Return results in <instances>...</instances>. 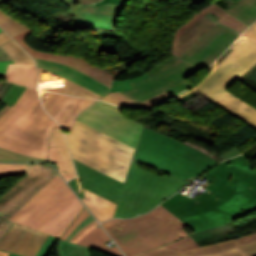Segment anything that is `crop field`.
Wrapping results in <instances>:
<instances>
[{"instance_id": "crop-field-29", "label": "crop field", "mask_w": 256, "mask_h": 256, "mask_svg": "<svg viewBox=\"0 0 256 256\" xmlns=\"http://www.w3.org/2000/svg\"><path fill=\"white\" fill-rule=\"evenodd\" d=\"M7 0H2L5 2ZM0 27L14 36L22 31L29 29L26 25L9 18L6 14L0 11Z\"/></svg>"}, {"instance_id": "crop-field-32", "label": "crop field", "mask_w": 256, "mask_h": 256, "mask_svg": "<svg viewBox=\"0 0 256 256\" xmlns=\"http://www.w3.org/2000/svg\"><path fill=\"white\" fill-rule=\"evenodd\" d=\"M126 1L127 0H120L118 6L107 4V5L96 7L97 13L113 14L112 22H111V27H112L113 31L115 29L117 18L119 16L122 8L124 7Z\"/></svg>"}, {"instance_id": "crop-field-18", "label": "crop field", "mask_w": 256, "mask_h": 256, "mask_svg": "<svg viewBox=\"0 0 256 256\" xmlns=\"http://www.w3.org/2000/svg\"><path fill=\"white\" fill-rule=\"evenodd\" d=\"M142 254L145 256H244L235 240L183 253L159 247Z\"/></svg>"}, {"instance_id": "crop-field-12", "label": "crop field", "mask_w": 256, "mask_h": 256, "mask_svg": "<svg viewBox=\"0 0 256 256\" xmlns=\"http://www.w3.org/2000/svg\"><path fill=\"white\" fill-rule=\"evenodd\" d=\"M239 35L219 24L206 33L183 59L208 68Z\"/></svg>"}, {"instance_id": "crop-field-25", "label": "crop field", "mask_w": 256, "mask_h": 256, "mask_svg": "<svg viewBox=\"0 0 256 256\" xmlns=\"http://www.w3.org/2000/svg\"><path fill=\"white\" fill-rule=\"evenodd\" d=\"M226 11L250 25L256 20V0H238Z\"/></svg>"}, {"instance_id": "crop-field-36", "label": "crop field", "mask_w": 256, "mask_h": 256, "mask_svg": "<svg viewBox=\"0 0 256 256\" xmlns=\"http://www.w3.org/2000/svg\"><path fill=\"white\" fill-rule=\"evenodd\" d=\"M26 164H0V177L25 172Z\"/></svg>"}, {"instance_id": "crop-field-39", "label": "crop field", "mask_w": 256, "mask_h": 256, "mask_svg": "<svg viewBox=\"0 0 256 256\" xmlns=\"http://www.w3.org/2000/svg\"><path fill=\"white\" fill-rule=\"evenodd\" d=\"M75 124H77V125H79V126H81V127H83V128H85V129H87V130H89V131H91V132H93V133H95V134H97V135H99V136H101V137H103V138H105V139H107V140H109V141H111V142H113V143H115V144H117V145H119V146H121V147H123V148H125V149L134 153V149L120 143L119 141H117V140H115V139H113V138H111V137H109V136H107V135H105V134H103V133H101V132L83 124V123H81V122H79V121H76Z\"/></svg>"}, {"instance_id": "crop-field-14", "label": "crop field", "mask_w": 256, "mask_h": 256, "mask_svg": "<svg viewBox=\"0 0 256 256\" xmlns=\"http://www.w3.org/2000/svg\"><path fill=\"white\" fill-rule=\"evenodd\" d=\"M43 106L62 129L70 130L79 112L96 100L70 97L39 90ZM79 115V114H78Z\"/></svg>"}, {"instance_id": "crop-field-21", "label": "crop field", "mask_w": 256, "mask_h": 256, "mask_svg": "<svg viewBox=\"0 0 256 256\" xmlns=\"http://www.w3.org/2000/svg\"><path fill=\"white\" fill-rule=\"evenodd\" d=\"M111 240L101 227L93 228L87 235L78 241L77 244L99 249L113 256H123L116 246L107 247L104 242ZM115 245V244H114Z\"/></svg>"}, {"instance_id": "crop-field-52", "label": "crop field", "mask_w": 256, "mask_h": 256, "mask_svg": "<svg viewBox=\"0 0 256 256\" xmlns=\"http://www.w3.org/2000/svg\"><path fill=\"white\" fill-rule=\"evenodd\" d=\"M119 0H102L101 2L95 3V6L112 3V4H118Z\"/></svg>"}, {"instance_id": "crop-field-54", "label": "crop field", "mask_w": 256, "mask_h": 256, "mask_svg": "<svg viewBox=\"0 0 256 256\" xmlns=\"http://www.w3.org/2000/svg\"><path fill=\"white\" fill-rule=\"evenodd\" d=\"M77 4H82V3H89V2H98L101 0H75Z\"/></svg>"}, {"instance_id": "crop-field-38", "label": "crop field", "mask_w": 256, "mask_h": 256, "mask_svg": "<svg viewBox=\"0 0 256 256\" xmlns=\"http://www.w3.org/2000/svg\"><path fill=\"white\" fill-rule=\"evenodd\" d=\"M89 215L90 214L87 212L86 208L83 207V209L79 212V214L72 221V223L69 225V227L66 229V231L62 234L60 238L65 240L66 237L77 227V225Z\"/></svg>"}, {"instance_id": "crop-field-17", "label": "crop field", "mask_w": 256, "mask_h": 256, "mask_svg": "<svg viewBox=\"0 0 256 256\" xmlns=\"http://www.w3.org/2000/svg\"><path fill=\"white\" fill-rule=\"evenodd\" d=\"M39 70V88L63 93L72 96L87 97V98H100L98 95L68 79L51 73L38 66Z\"/></svg>"}, {"instance_id": "crop-field-49", "label": "crop field", "mask_w": 256, "mask_h": 256, "mask_svg": "<svg viewBox=\"0 0 256 256\" xmlns=\"http://www.w3.org/2000/svg\"><path fill=\"white\" fill-rule=\"evenodd\" d=\"M0 31H2V30L0 29ZM9 64H14V62L13 61L0 62V77H4L5 78V75H6V72H7Z\"/></svg>"}, {"instance_id": "crop-field-48", "label": "crop field", "mask_w": 256, "mask_h": 256, "mask_svg": "<svg viewBox=\"0 0 256 256\" xmlns=\"http://www.w3.org/2000/svg\"><path fill=\"white\" fill-rule=\"evenodd\" d=\"M244 35L256 41V22L249 27Z\"/></svg>"}, {"instance_id": "crop-field-19", "label": "crop field", "mask_w": 256, "mask_h": 256, "mask_svg": "<svg viewBox=\"0 0 256 256\" xmlns=\"http://www.w3.org/2000/svg\"><path fill=\"white\" fill-rule=\"evenodd\" d=\"M213 104L256 129V108L233 93L226 91Z\"/></svg>"}, {"instance_id": "crop-field-44", "label": "crop field", "mask_w": 256, "mask_h": 256, "mask_svg": "<svg viewBox=\"0 0 256 256\" xmlns=\"http://www.w3.org/2000/svg\"><path fill=\"white\" fill-rule=\"evenodd\" d=\"M99 225L96 220L86 225L80 232H78L74 237L70 239L71 242L77 243V241L83 237L86 233H88L93 227Z\"/></svg>"}, {"instance_id": "crop-field-22", "label": "crop field", "mask_w": 256, "mask_h": 256, "mask_svg": "<svg viewBox=\"0 0 256 256\" xmlns=\"http://www.w3.org/2000/svg\"><path fill=\"white\" fill-rule=\"evenodd\" d=\"M5 80L37 88L36 66L10 65Z\"/></svg>"}, {"instance_id": "crop-field-1", "label": "crop field", "mask_w": 256, "mask_h": 256, "mask_svg": "<svg viewBox=\"0 0 256 256\" xmlns=\"http://www.w3.org/2000/svg\"><path fill=\"white\" fill-rule=\"evenodd\" d=\"M216 164L204 153L144 127L121 195L80 174L68 183L80 198L84 187L118 203L115 217L129 218L147 212Z\"/></svg>"}, {"instance_id": "crop-field-3", "label": "crop field", "mask_w": 256, "mask_h": 256, "mask_svg": "<svg viewBox=\"0 0 256 256\" xmlns=\"http://www.w3.org/2000/svg\"><path fill=\"white\" fill-rule=\"evenodd\" d=\"M37 96V89L27 87L10 110L0 118V146L10 151L49 159V131L52 126L60 127L42 109Z\"/></svg>"}, {"instance_id": "crop-field-20", "label": "crop field", "mask_w": 256, "mask_h": 256, "mask_svg": "<svg viewBox=\"0 0 256 256\" xmlns=\"http://www.w3.org/2000/svg\"><path fill=\"white\" fill-rule=\"evenodd\" d=\"M83 190L85 198H83L82 200L91 209V211L95 214L98 220L103 221L109 218H113L115 216L118 204L108 199H105L95 193H92L84 188Z\"/></svg>"}, {"instance_id": "crop-field-11", "label": "crop field", "mask_w": 256, "mask_h": 256, "mask_svg": "<svg viewBox=\"0 0 256 256\" xmlns=\"http://www.w3.org/2000/svg\"><path fill=\"white\" fill-rule=\"evenodd\" d=\"M209 12L220 17L217 22L241 33L249 26L237 17L229 14L212 3L196 13L176 30L172 54L182 58L206 32L219 24L207 17H204Z\"/></svg>"}, {"instance_id": "crop-field-35", "label": "crop field", "mask_w": 256, "mask_h": 256, "mask_svg": "<svg viewBox=\"0 0 256 256\" xmlns=\"http://www.w3.org/2000/svg\"><path fill=\"white\" fill-rule=\"evenodd\" d=\"M162 247H166L172 250H176L179 252L194 249L200 247L197 245L194 240L189 236L187 238L172 242L170 244L164 245Z\"/></svg>"}, {"instance_id": "crop-field-6", "label": "crop field", "mask_w": 256, "mask_h": 256, "mask_svg": "<svg viewBox=\"0 0 256 256\" xmlns=\"http://www.w3.org/2000/svg\"><path fill=\"white\" fill-rule=\"evenodd\" d=\"M230 49L233 51L191 89L211 103L256 66L254 42L241 35Z\"/></svg>"}, {"instance_id": "crop-field-46", "label": "crop field", "mask_w": 256, "mask_h": 256, "mask_svg": "<svg viewBox=\"0 0 256 256\" xmlns=\"http://www.w3.org/2000/svg\"><path fill=\"white\" fill-rule=\"evenodd\" d=\"M95 220L91 215L86 218L83 222H81L78 227L68 236V238L66 239L67 241H69V239L75 235L79 230H81L86 224L90 223L91 221Z\"/></svg>"}, {"instance_id": "crop-field-26", "label": "crop field", "mask_w": 256, "mask_h": 256, "mask_svg": "<svg viewBox=\"0 0 256 256\" xmlns=\"http://www.w3.org/2000/svg\"><path fill=\"white\" fill-rule=\"evenodd\" d=\"M1 47L9 54V56L15 61L16 64L35 65L31 56H29L13 40L1 45Z\"/></svg>"}, {"instance_id": "crop-field-30", "label": "crop field", "mask_w": 256, "mask_h": 256, "mask_svg": "<svg viewBox=\"0 0 256 256\" xmlns=\"http://www.w3.org/2000/svg\"><path fill=\"white\" fill-rule=\"evenodd\" d=\"M245 256H256V234L236 239Z\"/></svg>"}, {"instance_id": "crop-field-47", "label": "crop field", "mask_w": 256, "mask_h": 256, "mask_svg": "<svg viewBox=\"0 0 256 256\" xmlns=\"http://www.w3.org/2000/svg\"><path fill=\"white\" fill-rule=\"evenodd\" d=\"M238 154H240L239 150H238L237 147H235V148H233V149H231V150H229V151H227V152H225V153H223V154H221L217 157H219L222 160H225V159L231 158L233 156H236Z\"/></svg>"}, {"instance_id": "crop-field-53", "label": "crop field", "mask_w": 256, "mask_h": 256, "mask_svg": "<svg viewBox=\"0 0 256 256\" xmlns=\"http://www.w3.org/2000/svg\"><path fill=\"white\" fill-rule=\"evenodd\" d=\"M117 220H119V219H112V220L103 222V223H101V224H102V225L104 226V228L106 229L108 226L112 225V224L115 223Z\"/></svg>"}, {"instance_id": "crop-field-15", "label": "crop field", "mask_w": 256, "mask_h": 256, "mask_svg": "<svg viewBox=\"0 0 256 256\" xmlns=\"http://www.w3.org/2000/svg\"><path fill=\"white\" fill-rule=\"evenodd\" d=\"M30 32H31V30L29 29V30L22 32L13 37L29 54H31L34 57L49 59V60H53V61L71 65V66L93 76L94 78H96L100 82L104 83L108 87L111 86L114 77L110 73L104 71L103 69H101L99 67L90 65L88 62L84 61L83 59H81L78 56L44 53V52L37 51V50L33 49L32 47H30L29 45H27L24 42L26 35L29 34Z\"/></svg>"}, {"instance_id": "crop-field-34", "label": "crop field", "mask_w": 256, "mask_h": 256, "mask_svg": "<svg viewBox=\"0 0 256 256\" xmlns=\"http://www.w3.org/2000/svg\"><path fill=\"white\" fill-rule=\"evenodd\" d=\"M90 22V24L110 29V22L112 15H102V14H96V13H86L81 12Z\"/></svg>"}, {"instance_id": "crop-field-50", "label": "crop field", "mask_w": 256, "mask_h": 256, "mask_svg": "<svg viewBox=\"0 0 256 256\" xmlns=\"http://www.w3.org/2000/svg\"><path fill=\"white\" fill-rule=\"evenodd\" d=\"M10 40H12V38L8 36L4 31L0 33V44H3Z\"/></svg>"}, {"instance_id": "crop-field-51", "label": "crop field", "mask_w": 256, "mask_h": 256, "mask_svg": "<svg viewBox=\"0 0 256 256\" xmlns=\"http://www.w3.org/2000/svg\"><path fill=\"white\" fill-rule=\"evenodd\" d=\"M3 60H12L9 56H7L6 52L0 47V61Z\"/></svg>"}, {"instance_id": "crop-field-42", "label": "crop field", "mask_w": 256, "mask_h": 256, "mask_svg": "<svg viewBox=\"0 0 256 256\" xmlns=\"http://www.w3.org/2000/svg\"><path fill=\"white\" fill-rule=\"evenodd\" d=\"M145 78H148V76L144 75V76L138 77L136 79L126 80V81H114V83L112 84L111 92L132 89L129 82L141 80V79H145Z\"/></svg>"}, {"instance_id": "crop-field-40", "label": "crop field", "mask_w": 256, "mask_h": 256, "mask_svg": "<svg viewBox=\"0 0 256 256\" xmlns=\"http://www.w3.org/2000/svg\"><path fill=\"white\" fill-rule=\"evenodd\" d=\"M56 152L57 151L55 148L49 149L50 159L52 162H54L57 165V167L59 168L58 171L62 175V177L65 179V181H69L71 178L74 177V175L63 172L58 154Z\"/></svg>"}, {"instance_id": "crop-field-2", "label": "crop field", "mask_w": 256, "mask_h": 256, "mask_svg": "<svg viewBox=\"0 0 256 256\" xmlns=\"http://www.w3.org/2000/svg\"><path fill=\"white\" fill-rule=\"evenodd\" d=\"M249 162L242 155L228 159L203 175L213 183L199 197L178 193L161 205L194 232L237 219L256 209V168Z\"/></svg>"}, {"instance_id": "crop-field-24", "label": "crop field", "mask_w": 256, "mask_h": 256, "mask_svg": "<svg viewBox=\"0 0 256 256\" xmlns=\"http://www.w3.org/2000/svg\"><path fill=\"white\" fill-rule=\"evenodd\" d=\"M74 161V164H75V167H76V171L118 193H121V190L123 188V183L105 175V174H102L101 172L99 171H96L86 165H83L75 160Z\"/></svg>"}, {"instance_id": "crop-field-33", "label": "crop field", "mask_w": 256, "mask_h": 256, "mask_svg": "<svg viewBox=\"0 0 256 256\" xmlns=\"http://www.w3.org/2000/svg\"><path fill=\"white\" fill-rule=\"evenodd\" d=\"M71 154H72V157L74 159H76V160H78V161H80V162H82V163H84V164H86V165H88V166H90L94 169H97L101 172H105L106 174H108V175H110V176H112V177H114V178H116V179H118L122 182H125V179H126L125 177H123V176H121V175H119V174H117V173H115V172H113V171H111V170H109V169H107V168H105V167H103V166H101V165H99V164H97V163H95V162L77 154V153H74V152L71 151Z\"/></svg>"}, {"instance_id": "crop-field-41", "label": "crop field", "mask_w": 256, "mask_h": 256, "mask_svg": "<svg viewBox=\"0 0 256 256\" xmlns=\"http://www.w3.org/2000/svg\"><path fill=\"white\" fill-rule=\"evenodd\" d=\"M173 96H171L169 93H167L166 91L154 96V97H151L143 102H141L143 105H145L146 107L150 108L166 99H169Z\"/></svg>"}, {"instance_id": "crop-field-45", "label": "crop field", "mask_w": 256, "mask_h": 256, "mask_svg": "<svg viewBox=\"0 0 256 256\" xmlns=\"http://www.w3.org/2000/svg\"><path fill=\"white\" fill-rule=\"evenodd\" d=\"M63 2H65L67 5H69L70 7H72L73 9L69 12V14L87 22L88 20L77 10V8L75 7V3L73 0H62Z\"/></svg>"}, {"instance_id": "crop-field-23", "label": "crop field", "mask_w": 256, "mask_h": 256, "mask_svg": "<svg viewBox=\"0 0 256 256\" xmlns=\"http://www.w3.org/2000/svg\"><path fill=\"white\" fill-rule=\"evenodd\" d=\"M52 147H56L58 151L63 170L76 175L64 134L62 130L54 127L52 128L49 137V148Z\"/></svg>"}, {"instance_id": "crop-field-31", "label": "crop field", "mask_w": 256, "mask_h": 256, "mask_svg": "<svg viewBox=\"0 0 256 256\" xmlns=\"http://www.w3.org/2000/svg\"><path fill=\"white\" fill-rule=\"evenodd\" d=\"M0 161L3 162H25V161H50L46 159H38L18 153L7 151L0 147Z\"/></svg>"}, {"instance_id": "crop-field-43", "label": "crop field", "mask_w": 256, "mask_h": 256, "mask_svg": "<svg viewBox=\"0 0 256 256\" xmlns=\"http://www.w3.org/2000/svg\"><path fill=\"white\" fill-rule=\"evenodd\" d=\"M58 239L59 238H56L50 235V237L48 238L44 246L41 248L37 256H47ZM9 256H16V255L9 254Z\"/></svg>"}, {"instance_id": "crop-field-5", "label": "crop field", "mask_w": 256, "mask_h": 256, "mask_svg": "<svg viewBox=\"0 0 256 256\" xmlns=\"http://www.w3.org/2000/svg\"><path fill=\"white\" fill-rule=\"evenodd\" d=\"M184 227L185 224L159 205L134 219H121L106 230L126 256H131L188 235Z\"/></svg>"}, {"instance_id": "crop-field-56", "label": "crop field", "mask_w": 256, "mask_h": 256, "mask_svg": "<svg viewBox=\"0 0 256 256\" xmlns=\"http://www.w3.org/2000/svg\"><path fill=\"white\" fill-rule=\"evenodd\" d=\"M207 16H209V17L215 19L216 21H217V19H218V17H216V16H214V15H212V14H210V13H209Z\"/></svg>"}, {"instance_id": "crop-field-16", "label": "crop field", "mask_w": 256, "mask_h": 256, "mask_svg": "<svg viewBox=\"0 0 256 256\" xmlns=\"http://www.w3.org/2000/svg\"><path fill=\"white\" fill-rule=\"evenodd\" d=\"M36 64L65 78H68L96 93L104 95L109 89L104 84L100 83L93 77L65 64L34 58Z\"/></svg>"}, {"instance_id": "crop-field-27", "label": "crop field", "mask_w": 256, "mask_h": 256, "mask_svg": "<svg viewBox=\"0 0 256 256\" xmlns=\"http://www.w3.org/2000/svg\"><path fill=\"white\" fill-rule=\"evenodd\" d=\"M58 256H91L90 248L60 240Z\"/></svg>"}, {"instance_id": "crop-field-4", "label": "crop field", "mask_w": 256, "mask_h": 256, "mask_svg": "<svg viewBox=\"0 0 256 256\" xmlns=\"http://www.w3.org/2000/svg\"><path fill=\"white\" fill-rule=\"evenodd\" d=\"M82 207L81 202L58 175L11 220L60 237Z\"/></svg>"}, {"instance_id": "crop-field-9", "label": "crop field", "mask_w": 256, "mask_h": 256, "mask_svg": "<svg viewBox=\"0 0 256 256\" xmlns=\"http://www.w3.org/2000/svg\"><path fill=\"white\" fill-rule=\"evenodd\" d=\"M57 175L44 164H27L26 173L0 197V239L12 224L9 219Z\"/></svg>"}, {"instance_id": "crop-field-13", "label": "crop field", "mask_w": 256, "mask_h": 256, "mask_svg": "<svg viewBox=\"0 0 256 256\" xmlns=\"http://www.w3.org/2000/svg\"><path fill=\"white\" fill-rule=\"evenodd\" d=\"M49 235L13 222L0 241V250L20 256H36Z\"/></svg>"}, {"instance_id": "crop-field-7", "label": "crop field", "mask_w": 256, "mask_h": 256, "mask_svg": "<svg viewBox=\"0 0 256 256\" xmlns=\"http://www.w3.org/2000/svg\"><path fill=\"white\" fill-rule=\"evenodd\" d=\"M199 69L201 68L196 65L170 55L145 72L149 79L130 83L133 90L122 91V93L139 102L164 90L176 96L192 86L183 78Z\"/></svg>"}, {"instance_id": "crop-field-10", "label": "crop field", "mask_w": 256, "mask_h": 256, "mask_svg": "<svg viewBox=\"0 0 256 256\" xmlns=\"http://www.w3.org/2000/svg\"><path fill=\"white\" fill-rule=\"evenodd\" d=\"M120 108L119 106L97 101L86 108L77 119L136 148L143 124L130 120L119 113Z\"/></svg>"}, {"instance_id": "crop-field-8", "label": "crop field", "mask_w": 256, "mask_h": 256, "mask_svg": "<svg viewBox=\"0 0 256 256\" xmlns=\"http://www.w3.org/2000/svg\"><path fill=\"white\" fill-rule=\"evenodd\" d=\"M69 148L123 176H127L133 153L74 125L66 135Z\"/></svg>"}, {"instance_id": "crop-field-28", "label": "crop field", "mask_w": 256, "mask_h": 256, "mask_svg": "<svg viewBox=\"0 0 256 256\" xmlns=\"http://www.w3.org/2000/svg\"><path fill=\"white\" fill-rule=\"evenodd\" d=\"M101 100H105L112 104L123 106V107L136 108V109L146 108L142 104L136 102L135 100L131 99L130 97L120 92L109 93L103 98H101Z\"/></svg>"}, {"instance_id": "crop-field-37", "label": "crop field", "mask_w": 256, "mask_h": 256, "mask_svg": "<svg viewBox=\"0 0 256 256\" xmlns=\"http://www.w3.org/2000/svg\"><path fill=\"white\" fill-rule=\"evenodd\" d=\"M25 89L26 87L13 84L2 102L12 106L14 102L20 97V95L25 91Z\"/></svg>"}, {"instance_id": "crop-field-55", "label": "crop field", "mask_w": 256, "mask_h": 256, "mask_svg": "<svg viewBox=\"0 0 256 256\" xmlns=\"http://www.w3.org/2000/svg\"><path fill=\"white\" fill-rule=\"evenodd\" d=\"M9 108H10V107L6 105L2 110H0V117H1L2 115H4V114L8 111Z\"/></svg>"}, {"instance_id": "crop-field-57", "label": "crop field", "mask_w": 256, "mask_h": 256, "mask_svg": "<svg viewBox=\"0 0 256 256\" xmlns=\"http://www.w3.org/2000/svg\"><path fill=\"white\" fill-rule=\"evenodd\" d=\"M0 256H8L7 253L0 252Z\"/></svg>"}, {"instance_id": "crop-field-58", "label": "crop field", "mask_w": 256, "mask_h": 256, "mask_svg": "<svg viewBox=\"0 0 256 256\" xmlns=\"http://www.w3.org/2000/svg\"><path fill=\"white\" fill-rule=\"evenodd\" d=\"M137 256H143L142 254H140V255H137Z\"/></svg>"}]
</instances>
